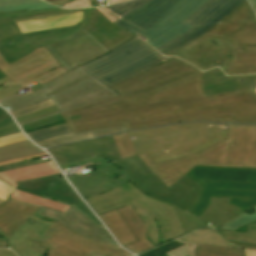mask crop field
<instances>
[{"label":"crop field","mask_w":256,"mask_h":256,"mask_svg":"<svg viewBox=\"0 0 256 256\" xmlns=\"http://www.w3.org/2000/svg\"><path fill=\"white\" fill-rule=\"evenodd\" d=\"M256 87V74L228 77L219 69L195 72L151 89L63 113L72 133L125 125L134 110Z\"/></svg>","instance_id":"crop-field-1"},{"label":"crop field","mask_w":256,"mask_h":256,"mask_svg":"<svg viewBox=\"0 0 256 256\" xmlns=\"http://www.w3.org/2000/svg\"><path fill=\"white\" fill-rule=\"evenodd\" d=\"M166 56L204 71L219 66L227 75L256 73V18L245 0L220 24Z\"/></svg>","instance_id":"crop-field-2"},{"label":"crop field","mask_w":256,"mask_h":256,"mask_svg":"<svg viewBox=\"0 0 256 256\" xmlns=\"http://www.w3.org/2000/svg\"><path fill=\"white\" fill-rule=\"evenodd\" d=\"M191 121L256 124V88L137 110L125 127L129 131Z\"/></svg>","instance_id":"crop-field-3"},{"label":"crop field","mask_w":256,"mask_h":256,"mask_svg":"<svg viewBox=\"0 0 256 256\" xmlns=\"http://www.w3.org/2000/svg\"><path fill=\"white\" fill-rule=\"evenodd\" d=\"M207 0H135L101 8L155 49L194 28L183 20Z\"/></svg>","instance_id":"crop-field-4"},{"label":"crop field","mask_w":256,"mask_h":256,"mask_svg":"<svg viewBox=\"0 0 256 256\" xmlns=\"http://www.w3.org/2000/svg\"><path fill=\"white\" fill-rule=\"evenodd\" d=\"M221 141L176 162L154 164L146 153L139 157L168 188L196 165L255 167L256 126L227 125V140Z\"/></svg>","instance_id":"crop-field-5"},{"label":"crop field","mask_w":256,"mask_h":256,"mask_svg":"<svg viewBox=\"0 0 256 256\" xmlns=\"http://www.w3.org/2000/svg\"><path fill=\"white\" fill-rule=\"evenodd\" d=\"M62 169L95 165L98 169L70 177L83 198L98 195L132 179L113 161L121 159L111 136L47 149ZM65 150V151H63ZM100 157L102 159H100ZM117 174L112 180L109 176Z\"/></svg>","instance_id":"crop-field-6"},{"label":"crop field","mask_w":256,"mask_h":256,"mask_svg":"<svg viewBox=\"0 0 256 256\" xmlns=\"http://www.w3.org/2000/svg\"><path fill=\"white\" fill-rule=\"evenodd\" d=\"M127 133L135 139L130 138L136 154L146 152L157 163L190 155L226 139V125L186 123Z\"/></svg>","instance_id":"crop-field-7"},{"label":"crop field","mask_w":256,"mask_h":256,"mask_svg":"<svg viewBox=\"0 0 256 256\" xmlns=\"http://www.w3.org/2000/svg\"><path fill=\"white\" fill-rule=\"evenodd\" d=\"M41 86L43 88L35 92L3 100L0 105L12 113L50 98L59 109L57 112L20 123L22 126L93 102L119 96L80 67Z\"/></svg>","instance_id":"crop-field-8"},{"label":"crop field","mask_w":256,"mask_h":256,"mask_svg":"<svg viewBox=\"0 0 256 256\" xmlns=\"http://www.w3.org/2000/svg\"><path fill=\"white\" fill-rule=\"evenodd\" d=\"M85 200L97 215L131 204L147 226V238L155 246L185 235L170 205L142 193L130 182Z\"/></svg>","instance_id":"crop-field-9"},{"label":"crop field","mask_w":256,"mask_h":256,"mask_svg":"<svg viewBox=\"0 0 256 256\" xmlns=\"http://www.w3.org/2000/svg\"><path fill=\"white\" fill-rule=\"evenodd\" d=\"M186 176L203 189L188 210L198 217L211 197L231 198L229 203L243 210L256 206V169L196 166Z\"/></svg>","instance_id":"crop-field-10"},{"label":"crop field","mask_w":256,"mask_h":256,"mask_svg":"<svg viewBox=\"0 0 256 256\" xmlns=\"http://www.w3.org/2000/svg\"><path fill=\"white\" fill-rule=\"evenodd\" d=\"M142 41L135 36L112 52L81 67L110 87L172 59L163 57Z\"/></svg>","instance_id":"crop-field-11"},{"label":"crop field","mask_w":256,"mask_h":256,"mask_svg":"<svg viewBox=\"0 0 256 256\" xmlns=\"http://www.w3.org/2000/svg\"><path fill=\"white\" fill-rule=\"evenodd\" d=\"M116 163L147 193L188 210L202 190L187 177L181 178L169 189L151 172L138 156ZM170 203V204H171Z\"/></svg>","instance_id":"crop-field-12"},{"label":"crop field","mask_w":256,"mask_h":256,"mask_svg":"<svg viewBox=\"0 0 256 256\" xmlns=\"http://www.w3.org/2000/svg\"><path fill=\"white\" fill-rule=\"evenodd\" d=\"M0 70L16 85L20 84L22 87L34 81L41 85L66 73L44 47L10 65L0 55Z\"/></svg>","instance_id":"crop-field-13"},{"label":"crop field","mask_w":256,"mask_h":256,"mask_svg":"<svg viewBox=\"0 0 256 256\" xmlns=\"http://www.w3.org/2000/svg\"><path fill=\"white\" fill-rule=\"evenodd\" d=\"M45 48L67 72L110 52L84 28L76 35Z\"/></svg>","instance_id":"crop-field-14"},{"label":"crop field","mask_w":256,"mask_h":256,"mask_svg":"<svg viewBox=\"0 0 256 256\" xmlns=\"http://www.w3.org/2000/svg\"><path fill=\"white\" fill-rule=\"evenodd\" d=\"M55 232L46 241L52 247L47 249V256H131L120 247L110 246L81 237L69 231L59 222L52 229Z\"/></svg>","instance_id":"crop-field-15"},{"label":"crop field","mask_w":256,"mask_h":256,"mask_svg":"<svg viewBox=\"0 0 256 256\" xmlns=\"http://www.w3.org/2000/svg\"><path fill=\"white\" fill-rule=\"evenodd\" d=\"M243 1L244 0H208L202 7L184 20L194 26V29L156 50L166 55L189 43L208 31Z\"/></svg>","instance_id":"crop-field-16"},{"label":"crop field","mask_w":256,"mask_h":256,"mask_svg":"<svg viewBox=\"0 0 256 256\" xmlns=\"http://www.w3.org/2000/svg\"><path fill=\"white\" fill-rule=\"evenodd\" d=\"M195 71H198L195 67L174 58L110 88L123 95L151 88Z\"/></svg>","instance_id":"crop-field-17"},{"label":"crop field","mask_w":256,"mask_h":256,"mask_svg":"<svg viewBox=\"0 0 256 256\" xmlns=\"http://www.w3.org/2000/svg\"><path fill=\"white\" fill-rule=\"evenodd\" d=\"M83 27L80 25L62 28L52 29L48 31H41L30 34H23L17 38H14L6 43L0 44V54L8 61L12 63L30 53L38 47L52 44L58 40L67 38ZM12 42V45H9Z\"/></svg>","instance_id":"crop-field-18"},{"label":"crop field","mask_w":256,"mask_h":256,"mask_svg":"<svg viewBox=\"0 0 256 256\" xmlns=\"http://www.w3.org/2000/svg\"><path fill=\"white\" fill-rule=\"evenodd\" d=\"M16 184L19 186L17 188L58 200L66 204H71L102 226L99 220L79 198L61 174L42 179L18 182Z\"/></svg>","instance_id":"crop-field-19"},{"label":"crop field","mask_w":256,"mask_h":256,"mask_svg":"<svg viewBox=\"0 0 256 256\" xmlns=\"http://www.w3.org/2000/svg\"><path fill=\"white\" fill-rule=\"evenodd\" d=\"M84 10L85 18L80 25L111 51L135 36L114 25L113 23L117 19L100 8H86Z\"/></svg>","instance_id":"crop-field-20"},{"label":"crop field","mask_w":256,"mask_h":256,"mask_svg":"<svg viewBox=\"0 0 256 256\" xmlns=\"http://www.w3.org/2000/svg\"><path fill=\"white\" fill-rule=\"evenodd\" d=\"M41 206L8 197L0 205V233L8 240L30 218L53 228L57 221L34 215Z\"/></svg>","instance_id":"crop-field-21"},{"label":"crop field","mask_w":256,"mask_h":256,"mask_svg":"<svg viewBox=\"0 0 256 256\" xmlns=\"http://www.w3.org/2000/svg\"><path fill=\"white\" fill-rule=\"evenodd\" d=\"M54 231L33 220H29L11 236L10 245L19 256H46L51 247L45 241Z\"/></svg>","instance_id":"crop-field-22"},{"label":"crop field","mask_w":256,"mask_h":256,"mask_svg":"<svg viewBox=\"0 0 256 256\" xmlns=\"http://www.w3.org/2000/svg\"><path fill=\"white\" fill-rule=\"evenodd\" d=\"M36 215L57 220L68 229L84 237L118 246L106 230L94 224L73 207H71L66 214L42 207Z\"/></svg>","instance_id":"crop-field-23"},{"label":"crop field","mask_w":256,"mask_h":256,"mask_svg":"<svg viewBox=\"0 0 256 256\" xmlns=\"http://www.w3.org/2000/svg\"><path fill=\"white\" fill-rule=\"evenodd\" d=\"M42 148L94 137L91 131L72 134L67 123L52 128L27 133Z\"/></svg>","instance_id":"crop-field-24"},{"label":"crop field","mask_w":256,"mask_h":256,"mask_svg":"<svg viewBox=\"0 0 256 256\" xmlns=\"http://www.w3.org/2000/svg\"><path fill=\"white\" fill-rule=\"evenodd\" d=\"M133 207V206H132ZM131 205L117 209L118 213L127 222V226L133 232L139 242L133 243L132 245H126L127 249L137 254L141 251L151 249L155 247L147 238V228L138 217Z\"/></svg>","instance_id":"crop-field-25"},{"label":"crop field","mask_w":256,"mask_h":256,"mask_svg":"<svg viewBox=\"0 0 256 256\" xmlns=\"http://www.w3.org/2000/svg\"><path fill=\"white\" fill-rule=\"evenodd\" d=\"M58 173L59 171L57 167L55 166L53 161H50L34 166L0 173V179L16 187L17 185L14 182L42 178Z\"/></svg>","instance_id":"crop-field-26"},{"label":"crop field","mask_w":256,"mask_h":256,"mask_svg":"<svg viewBox=\"0 0 256 256\" xmlns=\"http://www.w3.org/2000/svg\"><path fill=\"white\" fill-rule=\"evenodd\" d=\"M229 200L212 198L208 209L200 216V219L207 223L210 222L213 227H217L236 217L243 210L228 204Z\"/></svg>","instance_id":"crop-field-27"},{"label":"crop field","mask_w":256,"mask_h":256,"mask_svg":"<svg viewBox=\"0 0 256 256\" xmlns=\"http://www.w3.org/2000/svg\"><path fill=\"white\" fill-rule=\"evenodd\" d=\"M83 17V13H73L49 18L34 19L17 22L22 33L50 29L55 27L78 24Z\"/></svg>","instance_id":"crop-field-28"},{"label":"crop field","mask_w":256,"mask_h":256,"mask_svg":"<svg viewBox=\"0 0 256 256\" xmlns=\"http://www.w3.org/2000/svg\"><path fill=\"white\" fill-rule=\"evenodd\" d=\"M99 217L103 220L122 246L137 242V239L131 233L116 210L99 215Z\"/></svg>","instance_id":"crop-field-29"},{"label":"crop field","mask_w":256,"mask_h":256,"mask_svg":"<svg viewBox=\"0 0 256 256\" xmlns=\"http://www.w3.org/2000/svg\"><path fill=\"white\" fill-rule=\"evenodd\" d=\"M82 9H74V10H67L57 7H48V8H37V9H29L17 12H9V13H0V21L15 18L16 21L19 20H27V19H34V18H42L60 14H67L73 12H79Z\"/></svg>","instance_id":"crop-field-30"},{"label":"crop field","mask_w":256,"mask_h":256,"mask_svg":"<svg viewBox=\"0 0 256 256\" xmlns=\"http://www.w3.org/2000/svg\"><path fill=\"white\" fill-rule=\"evenodd\" d=\"M30 141V140H29ZM28 140L1 146L0 162L26 157L34 154L43 153L38 147L34 146Z\"/></svg>","instance_id":"crop-field-31"},{"label":"crop field","mask_w":256,"mask_h":256,"mask_svg":"<svg viewBox=\"0 0 256 256\" xmlns=\"http://www.w3.org/2000/svg\"><path fill=\"white\" fill-rule=\"evenodd\" d=\"M184 242L189 243H199L205 245H212V246H221V247H229L233 248L230 244H228L223 238H221L214 229H203L191 233L187 236L180 238Z\"/></svg>","instance_id":"crop-field-32"},{"label":"crop field","mask_w":256,"mask_h":256,"mask_svg":"<svg viewBox=\"0 0 256 256\" xmlns=\"http://www.w3.org/2000/svg\"><path fill=\"white\" fill-rule=\"evenodd\" d=\"M10 197H14L20 200H24L27 202H31L37 205H41L47 208H51L57 211H61L66 213L68 211V209L70 208V206L65 205L63 203L57 202V201H53L50 199H46V198H42V197H38L35 195H32L30 193H25L22 192L20 190L15 189V191L13 192V194Z\"/></svg>","instance_id":"crop-field-33"},{"label":"crop field","mask_w":256,"mask_h":256,"mask_svg":"<svg viewBox=\"0 0 256 256\" xmlns=\"http://www.w3.org/2000/svg\"><path fill=\"white\" fill-rule=\"evenodd\" d=\"M229 242L240 243L246 245H256V224L248 226L246 233L232 232L223 229H216Z\"/></svg>","instance_id":"crop-field-34"},{"label":"crop field","mask_w":256,"mask_h":256,"mask_svg":"<svg viewBox=\"0 0 256 256\" xmlns=\"http://www.w3.org/2000/svg\"><path fill=\"white\" fill-rule=\"evenodd\" d=\"M12 6V8H10ZM52 6L41 0H0V12Z\"/></svg>","instance_id":"crop-field-35"},{"label":"crop field","mask_w":256,"mask_h":256,"mask_svg":"<svg viewBox=\"0 0 256 256\" xmlns=\"http://www.w3.org/2000/svg\"><path fill=\"white\" fill-rule=\"evenodd\" d=\"M194 256H244V251L197 244Z\"/></svg>","instance_id":"crop-field-36"},{"label":"crop field","mask_w":256,"mask_h":256,"mask_svg":"<svg viewBox=\"0 0 256 256\" xmlns=\"http://www.w3.org/2000/svg\"><path fill=\"white\" fill-rule=\"evenodd\" d=\"M181 225L183 226V229L185 231V233H189L193 230H197V229H200V228H204V227H207V225L205 223H203L201 220L183 212V211H180L178 209H176L174 206H172Z\"/></svg>","instance_id":"crop-field-37"},{"label":"crop field","mask_w":256,"mask_h":256,"mask_svg":"<svg viewBox=\"0 0 256 256\" xmlns=\"http://www.w3.org/2000/svg\"><path fill=\"white\" fill-rule=\"evenodd\" d=\"M112 137L122 159L136 155L126 132Z\"/></svg>","instance_id":"crop-field-38"},{"label":"crop field","mask_w":256,"mask_h":256,"mask_svg":"<svg viewBox=\"0 0 256 256\" xmlns=\"http://www.w3.org/2000/svg\"><path fill=\"white\" fill-rule=\"evenodd\" d=\"M21 35L15 20L0 22V43Z\"/></svg>","instance_id":"crop-field-39"},{"label":"crop field","mask_w":256,"mask_h":256,"mask_svg":"<svg viewBox=\"0 0 256 256\" xmlns=\"http://www.w3.org/2000/svg\"><path fill=\"white\" fill-rule=\"evenodd\" d=\"M26 138L24 137V135L22 133L20 134H16V135H12V136H8L5 138L0 139V145H4V144H8V143H13V142H17V141H21V140H25ZM14 191V188L6 185L5 183H3L2 181H0V199L4 200L12 194V192Z\"/></svg>","instance_id":"crop-field-40"},{"label":"crop field","mask_w":256,"mask_h":256,"mask_svg":"<svg viewBox=\"0 0 256 256\" xmlns=\"http://www.w3.org/2000/svg\"><path fill=\"white\" fill-rule=\"evenodd\" d=\"M254 209L256 210V207ZM253 221H256V212L251 215L243 213L220 228L235 231Z\"/></svg>","instance_id":"crop-field-41"},{"label":"crop field","mask_w":256,"mask_h":256,"mask_svg":"<svg viewBox=\"0 0 256 256\" xmlns=\"http://www.w3.org/2000/svg\"><path fill=\"white\" fill-rule=\"evenodd\" d=\"M181 245H183V244H181L179 242H176V241H172V242H170V243H168L166 245H163V246H161L159 248H156V249H153L151 251H148V252H146L144 254H140L138 256H155V255L156 256H166L165 253H167V252H169V251H171V250H173V249H175V248H177V247H179Z\"/></svg>","instance_id":"crop-field-42"},{"label":"crop field","mask_w":256,"mask_h":256,"mask_svg":"<svg viewBox=\"0 0 256 256\" xmlns=\"http://www.w3.org/2000/svg\"><path fill=\"white\" fill-rule=\"evenodd\" d=\"M51 105H53V103L51 102L50 99H48V100H45L43 102L37 103L35 105H32V106L26 107L24 109L18 110L16 112L12 113V115L14 116V118H16V117L24 115L26 113L33 112V111H36V110H40V109L46 108V107L51 106Z\"/></svg>","instance_id":"crop-field-43"},{"label":"crop field","mask_w":256,"mask_h":256,"mask_svg":"<svg viewBox=\"0 0 256 256\" xmlns=\"http://www.w3.org/2000/svg\"><path fill=\"white\" fill-rule=\"evenodd\" d=\"M176 241H179V240H176ZM183 244H185L184 246L176 249V250H173L169 253H167L169 256H193V252H194V249H195V245L196 244H189V243H184L182 241H179Z\"/></svg>","instance_id":"crop-field-44"},{"label":"crop field","mask_w":256,"mask_h":256,"mask_svg":"<svg viewBox=\"0 0 256 256\" xmlns=\"http://www.w3.org/2000/svg\"><path fill=\"white\" fill-rule=\"evenodd\" d=\"M54 111H57V108L55 105L48 107L46 109L40 110V111L33 112L32 114L29 113L27 115L16 118V121H17V123L27 121V120H30V119L54 112Z\"/></svg>","instance_id":"crop-field-45"},{"label":"crop field","mask_w":256,"mask_h":256,"mask_svg":"<svg viewBox=\"0 0 256 256\" xmlns=\"http://www.w3.org/2000/svg\"><path fill=\"white\" fill-rule=\"evenodd\" d=\"M50 160H52V159H49V161ZM40 163H42V162H40ZM34 164H38V163H36V161L32 162V160L30 159V160L24 161V162L3 165V166H0V172L17 169V168H21V167H25V166H29V165H34Z\"/></svg>","instance_id":"crop-field-46"},{"label":"crop field","mask_w":256,"mask_h":256,"mask_svg":"<svg viewBox=\"0 0 256 256\" xmlns=\"http://www.w3.org/2000/svg\"><path fill=\"white\" fill-rule=\"evenodd\" d=\"M125 127L121 126V127H115V128H108V129H101V130H95L92 131L94 136H103V135H108V134H113V133H119V132H124Z\"/></svg>","instance_id":"crop-field-47"},{"label":"crop field","mask_w":256,"mask_h":256,"mask_svg":"<svg viewBox=\"0 0 256 256\" xmlns=\"http://www.w3.org/2000/svg\"><path fill=\"white\" fill-rule=\"evenodd\" d=\"M16 133H20V130L15 125V123H13L11 125H8L0 129V138L8 135L16 134Z\"/></svg>","instance_id":"crop-field-48"},{"label":"crop field","mask_w":256,"mask_h":256,"mask_svg":"<svg viewBox=\"0 0 256 256\" xmlns=\"http://www.w3.org/2000/svg\"><path fill=\"white\" fill-rule=\"evenodd\" d=\"M90 7V0H74L64 6V8Z\"/></svg>","instance_id":"crop-field-49"},{"label":"crop field","mask_w":256,"mask_h":256,"mask_svg":"<svg viewBox=\"0 0 256 256\" xmlns=\"http://www.w3.org/2000/svg\"><path fill=\"white\" fill-rule=\"evenodd\" d=\"M12 85H14V83L8 77L0 80V90L5 89Z\"/></svg>","instance_id":"crop-field-50"},{"label":"crop field","mask_w":256,"mask_h":256,"mask_svg":"<svg viewBox=\"0 0 256 256\" xmlns=\"http://www.w3.org/2000/svg\"><path fill=\"white\" fill-rule=\"evenodd\" d=\"M42 155H46V153L39 154V155H34V156L26 157V158H21V159H17V160H12V161H8V162H4V163H0V165L19 162V161H24V160H28L30 158H35V157L42 156Z\"/></svg>","instance_id":"crop-field-51"},{"label":"crop field","mask_w":256,"mask_h":256,"mask_svg":"<svg viewBox=\"0 0 256 256\" xmlns=\"http://www.w3.org/2000/svg\"><path fill=\"white\" fill-rule=\"evenodd\" d=\"M0 256H16V255L10 250H0Z\"/></svg>","instance_id":"crop-field-52"},{"label":"crop field","mask_w":256,"mask_h":256,"mask_svg":"<svg viewBox=\"0 0 256 256\" xmlns=\"http://www.w3.org/2000/svg\"><path fill=\"white\" fill-rule=\"evenodd\" d=\"M10 117L9 114L0 107V121Z\"/></svg>","instance_id":"crop-field-53"},{"label":"crop field","mask_w":256,"mask_h":256,"mask_svg":"<svg viewBox=\"0 0 256 256\" xmlns=\"http://www.w3.org/2000/svg\"><path fill=\"white\" fill-rule=\"evenodd\" d=\"M0 248H8V244L5 238H0Z\"/></svg>","instance_id":"crop-field-54"},{"label":"crop field","mask_w":256,"mask_h":256,"mask_svg":"<svg viewBox=\"0 0 256 256\" xmlns=\"http://www.w3.org/2000/svg\"><path fill=\"white\" fill-rule=\"evenodd\" d=\"M13 123V120L11 119V117L3 122L0 123V128L3 127V126H6L8 124H11Z\"/></svg>","instance_id":"crop-field-55"},{"label":"crop field","mask_w":256,"mask_h":256,"mask_svg":"<svg viewBox=\"0 0 256 256\" xmlns=\"http://www.w3.org/2000/svg\"><path fill=\"white\" fill-rule=\"evenodd\" d=\"M125 1H129V0H109L108 5L121 3V2H125Z\"/></svg>","instance_id":"crop-field-56"},{"label":"crop field","mask_w":256,"mask_h":256,"mask_svg":"<svg viewBox=\"0 0 256 256\" xmlns=\"http://www.w3.org/2000/svg\"><path fill=\"white\" fill-rule=\"evenodd\" d=\"M233 245L238 246V247H242V248L256 249V246H245V245H239V244H233Z\"/></svg>","instance_id":"crop-field-57"},{"label":"crop field","mask_w":256,"mask_h":256,"mask_svg":"<svg viewBox=\"0 0 256 256\" xmlns=\"http://www.w3.org/2000/svg\"><path fill=\"white\" fill-rule=\"evenodd\" d=\"M246 256H256V251H254V250H247Z\"/></svg>","instance_id":"crop-field-58"},{"label":"crop field","mask_w":256,"mask_h":256,"mask_svg":"<svg viewBox=\"0 0 256 256\" xmlns=\"http://www.w3.org/2000/svg\"><path fill=\"white\" fill-rule=\"evenodd\" d=\"M250 3H251V5H252V7H253V9H254V6H255V3H256V0H248Z\"/></svg>","instance_id":"crop-field-59"},{"label":"crop field","mask_w":256,"mask_h":256,"mask_svg":"<svg viewBox=\"0 0 256 256\" xmlns=\"http://www.w3.org/2000/svg\"><path fill=\"white\" fill-rule=\"evenodd\" d=\"M6 77V75H4L1 71H0V79Z\"/></svg>","instance_id":"crop-field-60"},{"label":"crop field","mask_w":256,"mask_h":256,"mask_svg":"<svg viewBox=\"0 0 256 256\" xmlns=\"http://www.w3.org/2000/svg\"><path fill=\"white\" fill-rule=\"evenodd\" d=\"M34 161V159H32ZM36 161L39 162L40 161V157L36 158Z\"/></svg>","instance_id":"crop-field-61"},{"label":"crop field","mask_w":256,"mask_h":256,"mask_svg":"<svg viewBox=\"0 0 256 256\" xmlns=\"http://www.w3.org/2000/svg\"><path fill=\"white\" fill-rule=\"evenodd\" d=\"M93 256H99V255H97V254H94Z\"/></svg>","instance_id":"crop-field-62"},{"label":"crop field","mask_w":256,"mask_h":256,"mask_svg":"<svg viewBox=\"0 0 256 256\" xmlns=\"http://www.w3.org/2000/svg\"><path fill=\"white\" fill-rule=\"evenodd\" d=\"M254 11H255V13H256V7H255Z\"/></svg>","instance_id":"crop-field-63"},{"label":"crop field","mask_w":256,"mask_h":256,"mask_svg":"<svg viewBox=\"0 0 256 256\" xmlns=\"http://www.w3.org/2000/svg\"><path fill=\"white\" fill-rule=\"evenodd\" d=\"M3 203V201L0 200V204Z\"/></svg>","instance_id":"crop-field-64"},{"label":"crop field","mask_w":256,"mask_h":256,"mask_svg":"<svg viewBox=\"0 0 256 256\" xmlns=\"http://www.w3.org/2000/svg\"><path fill=\"white\" fill-rule=\"evenodd\" d=\"M0 237H3V236L0 234Z\"/></svg>","instance_id":"crop-field-65"},{"label":"crop field","mask_w":256,"mask_h":256,"mask_svg":"<svg viewBox=\"0 0 256 256\" xmlns=\"http://www.w3.org/2000/svg\"><path fill=\"white\" fill-rule=\"evenodd\" d=\"M256 168V167H255Z\"/></svg>","instance_id":"crop-field-66"}]
</instances>
